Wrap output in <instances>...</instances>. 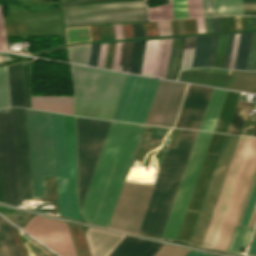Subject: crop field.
<instances>
[{
	"instance_id": "48",
	"label": "crop field",
	"mask_w": 256,
	"mask_h": 256,
	"mask_svg": "<svg viewBox=\"0 0 256 256\" xmlns=\"http://www.w3.org/2000/svg\"><path fill=\"white\" fill-rule=\"evenodd\" d=\"M203 16L217 15L216 0H201Z\"/></svg>"
},
{
	"instance_id": "11",
	"label": "crop field",
	"mask_w": 256,
	"mask_h": 256,
	"mask_svg": "<svg viewBox=\"0 0 256 256\" xmlns=\"http://www.w3.org/2000/svg\"><path fill=\"white\" fill-rule=\"evenodd\" d=\"M251 142V141H250ZM256 168V138L252 139L246 158L244 160L236 187L234 189L227 213L225 215L215 247L227 250L237 218L249 188L252 176Z\"/></svg>"
},
{
	"instance_id": "45",
	"label": "crop field",
	"mask_w": 256,
	"mask_h": 256,
	"mask_svg": "<svg viewBox=\"0 0 256 256\" xmlns=\"http://www.w3.org/2000/svg\"><path fill=\"white\" fill-rule=\"evenodd\" d=\"M246 70H256V33L252 35Z\"/></svg>"
},
{
	"instance_id": "8",
	"label": "crop field",
	"mask_w": 256,
	"mask_h": 256,
	"mask_svg": "<svg viewBox=\"0 0 256 256\" xmlns=\"http://www.w3.org/2000/svg\"><path fill=\"white\" fill-rule=\"evenodd\" d=\"M158 81L129 75L112 120L144 123Z\"/></svg>"
},
{
	"instance_id": "20",
	"label": "crop field",
	"mask_w": 256,
	"mask_h": 256,
	"mask_svg": "<svg viewBox=\"0 0 256 256\" xmlns=\"http://www.w3.org/2000/svg\"><path fill=\"white\" fill-rule=\"evenodd\" d=\"M163 246L156 242L126 236L109 256H154Z\"/></svg>"
},
{
	"instance_id": "62",
	"label": "crop field",
	"mask_w": 256,
	"mask_h": 256,
	"mask_svg": "<svg viewBox=\"0 0 256 256\" xmlns=\"http://www.w3.org/2000/svg\"><path fill=\"white\" fill-rule=\"evenodd\" d=\"M255 223H256V205H255V208H254V211L252 213V216H251V219H250V222H249L248 226L254 227Z\"/></svg>"
},
{
	"instance_id": "10",
	"label": "crop field",
	"mask_w": 256,
	"mask_h": 256,
	"mask_svg": "<svg viewBox=\"0 0 256 256\" xmlns=\"http://www.w3.org/2000/svg\"><path fill=\"white\" fill-rule=\"evenodd\" d=\"M152 188L124 183L109 227L137 233Z\"/></svg>"
},
{
	"instance_id": "28",
	"label": "crop field",
	"mask_w": 256,
	"mask_h": 256,
	"mask_svg": "<svg viewBox=\"0 0 256 256\" xmlns=\"http://www.w3.org/2000/svg\"><path fill=\"white\" fill-rule=\"evenodd\" d=\"M239 94L240 93H237V92H231V91L228 92V95L224 103L215 131L223 132V133L227 132L235 107L238 102Z\"/></svg>"
},
{
	"instance_id": "27",
	"label": "crop field",
	"mask_w": 256,
	"mask_h": 256,
	"mask_svg": "<svg viewBox=\"0 0 256 256\" xmlns=\"http://www.w3.org/2000/svg\"><path fill=\"white\" fill-rule=\"evenodd\" d=\"M40 15L43 35H63L59 9L43 10Z\"/></svg>"
},
{
	"instance_id": "56",
	"label": "crop field",
	"mask_w": 256,
	"mask_h": 256,
	"mask_svg": "<svg viewBox=\"0 0 256 256\" xmlns=\"http://www.w3.org/2000/svg\"><path fill=\"white\" fill-rule=\"evenodd\" d=\"M134 38L145 37L143 23L132 24Z\"/></svg>"
},
{
	"instance_id": "9",
	"label": "crop field",
	"mask_w": 256,
	"mask_h": 256,
	"mask_svg": "<svg viewBox=\"0 0 256 256\" xmlns=\"http://www.w3.org/2000/svg\"><path fill=\"white\" fill-rule=\"evenodd\" d=\"M239 136L227 135L199 213L191 244L202 245L227 169Z\"/></svg>"
},
{
	"instance_id": "63",
	"label": "crop field",
	"mask_w": 256,
	"mask_h": 256,
	"mask_svg": "<svg viewBox=\"0 0 256 256\" xmlns=\"http://www.w3.org/2000/svg\"><path fill=\"white\" fill-rule=\"evenodd\" d=\"M215 31H220L217 17L213 18Z\"/></svg>"
},
{
	"instance_id": "43",
	"label": "crop field",
	"mask_w": 256,
	"mask_h": 256,
	"mask_svg": "<svg viewBox=\"0 0 256 256\" xmlns=\"http://www.w3.org/2000/svg\"><path fill=\"white\" fill-rule=\"evenodd\" d=\"M169 4L150 8L151 20L172 19L171 0Z\"/></svg>"
},
{
	"instance_id": "37",
	"label": "crop field",
	"mask_w": 256,
	"mask_h": 256,
	"mask_svg": "<svg viewBox=\"0 0 256 256\" xmlns=\"http://www.w3.org/2000/svg\"><path fill=\"white\" fill-rule=\"evenodd\" d=\"M145 42L146 40L135 41L129 72L140 74Z\"/></svg>"
},
{
	"instance_id": "64",
	"label": "crop field",
	"mask_w": 256,
	"mask_h": 256,
	"mask_svg": "<svg viewBox=\"0 0 256 256\" xmlns=\"http://www.w3.org/2000/svg\"><path fill=\"white\" fill-rule=\"evenodd\" d=\"M47 1H49V0H42V4L45 3V2H47Z\"/></svg>"
},
{
	"instance_id": "26",
	"label": "crop field",
	"mask_w": 256,
	"mask_h": 256,
	"mask_svg": "<svg viewBox=\"0 0 256 256\" xmlns=\"http://www.w3.org/2000/svg\"><path fill=\"white\" fill-rule=\"evenodd\" d=\"M0 256H21L9 222L0 217Z\"/></svg>"
},
{
	"instance_id": "18",
	"label": "crop field",
	"mask_w": 256,
	"mask_h": 256,
	"mask_svg": "<svg viewBox=\"0 0 256 256\" xmlns=\"http://www.w3.org/2000/svg\"><path fill=\"white\" fill-rule=\"evenodd\" d=\"M213 88L190 85L175 127L198 130Z\"/></svg>"
},
{
	"instance_id": "35",
	"label": "crop field",
	"mask_w": 256,
	"mask_h": 256,
	"mask_svg": "<svg viewBox=\"0 0 256 256\" xmlns=\"http://www.w3.org/2000/svg\"><path fill=\"white\" fill-rule=\"evenodd\" d=\"M251 35L252 33L241 34L237 58H236V64L234 69L245 70Z\"/></svg>"
},
{
	"instance_id": "1",
	"label": "crop field",
	"mask_w": 256,
	"mask_h": 256,
	"mask_svg": "<svg viewBox=\"0 0 256 256\" xmlns=\"http://www.w3.org/2000/svg\"><path fill=\"white\" fill-rule=\"evenodd\" d=\"M143 126L111 122L81 210L84 220L109 226Z\"/></svg>"
},
{
	"instance_id": "58",
	"label": "crop field",
	"mask_w": 256,
	"mask_h": 256,
	"mask_svg": "<svg viewBox=\"0 0 256 256\" xmlns=\"http://www.w3.org/2000/svg\"><path fill=\"white\" fill-rule=\"evenodd\" d=\"M217 37H218V35H214V37H213V43H212V48H211V54H210V59H209L208 67H212V65H213L215 49H216V43H217Z\"/></svg>"
},
{
	"instance_id": "15",
	"label": "crop field",
	"mask_w": 256,
	"mask_h": 256,
	"mask_svg": "<svg viewBox=\"0 0 256 256\" xmlns=\"http://www.w3.org/2000/svg\"><path fill=\"white\" fill-rule=\"evenodd\" d=\"M186 86L160 80L145 123L173 127Z\"/></svg>"
},
{
	"instance_id": "47",
	"label": "crop field",
	"mask_w": 256,
	"mask_h": 256,
	"mask_svg": "<svg viewBox=\"0 0 256 256\" xmlns=\"http://www.w3.org/2000/svg\"><path fill=\"white\" fill-rule=\"evenodd\" d=\"M188 17L202 16L201 1L187 0Z\"/></svg>"
},
{
	"instance_id": "42",
	"label": "crop field",
	"mask_w": 256,
	"mask_h": 256,
	"mask_svg": "<svg viewBox=\"0 0 256 256\" xmlns=\"http://www.w3.org/2000/svg\"><path fill=\"white\" fill-rule=\"evenodd\" d=\"M68 43L85 42L91 40L89 27L84 28H66Z\"/></svg>"
},
{
	"instance_id": "33",
	"label": "crop field",
	"mask_w": 256,
	"mask_h": 256,
	"mask_svg": "<svg viewBox=\"0 0 256 256\" xmlns=\"http://www.w3.org/2000/svg\"><path fill=\"white\" fill-rule=\"evenodd\" d=\"M158 42L159 40H147L141 74L152 76Z\"/></svg>"
},
{
	"instance_id": "54",
	"label": "crop field",
	"mask_w": 256,
	"mask_h": 256,
	"mask_svg": "<svg viewBox=\"0 0 256 256\" xmlns=\"http://www.w3.org/2000/svg\"><path fill=\"white\" fill-rule=\"evenodd\" d=\"M239 36H240V34H235V36H234V42H233V48H232L230 66H229V68H231V69L234 68V64H235V58H236L237 47H238V42H239Z\"/></svg>"
},
{
	"instance_id": "40",
	"label": "crop field",
	"mask_w": 256,
	"mask_h": 256,
	"mask_svg": "<svg viewBox=\"0 0 256 256\" xmlns=\"http://www.w3.org/2000/svg\"><path fill=\"white\" fill-rule=\"evenodd\" d=\"M188 251H189L188 249H183V248L177 249V247L164 245L159 252L157 251L158 253L156 252L157 254L155 256H185ZM186 256H213V255L190 250Z\"/></svg>"
},
{
	"instance_id": "13",
	"label": "crop field",
	"mask_w": 256,
	"mask_h": 256,
	"mask_svg": "<svg viewBox=\"0 0 256 256\" xmlns=\"http://www.w3.org/2000/svg\"><path fill=\"white\" fill-rule=\"evenodd\" d=\"M225 136L226 135L223 134H213L185 219L183 221L177 239L179 241L187 243L189 242L191 232L193 230L197 215L199 213L203 198L205 196Z\"/></svg>"
},
{
	"instance_id": "22",
	"label": "crop field",
	"mask_w": 256,
	"mask_h": 256,
	"mask_svg": "<svg viewBox=\"0 0 256 256\" xmlns=\"http://www.w3.org/2000/svg\"><path fill=\"white\" fill-rule=\"evenodd\" d=\"M226 90L213 89L211 98L209 100L204 118L202 120L199 130L213 131L216 125L218 116L223 106L225 97L227 95Z\"/></svg>"
},
{
	"instance_id": "52",
	"label": "crop field",
	"mask_w": 256,
	"mask_h": 256,
	"mask_svg": "<svg viewBox=\"0 0 256 256\" xmlns=\"http://www.w3.org/2000/svg\"><path fill=\"white\" fill-rule=\"evenodd\" d=\"M159 36L172 35L170 21L157 22Z\"/></svg>"
},
{
	"instance_id": "51",
	"label": "crop field",
	"mask_w": 256,
	"mask_h": 256,
	"mask_svg": "<svg viewBox=\"0 0 256 256\" xmlns=\"http://www.w3.org/2000/svg\"><path fill=\"white\" fill-rule=\"evenodd\" d=\"M255 181H256V171H255V174H254V176H253V179H252L250 188H249V190H248V193H247L245 202H244V204H243V207H242L240 216H239L238 221H237V224H236V225H238V226H240V224H241V221H242L243 215H244V213H245V210H246V207H247V204H248L250 195H251V193H252V190H253Z\"/></svg>"
},
{
	"instance_id": "34",
	"label": "crop field",
	"mask_w": 256,
	"mask_h": 256,
	"mask_svg": "<svg viewBox=\"0 0 256 256\" xmlns=\"http://www.w3.org/2000/svg\"><path fill=\"white\" fill-rule=\"evenodd\" d=\"M250 103L238 102L227 133L239 135Z\"/></svg>"
},
{
	"instance_id": "55",
	"label": "crop field",
	"mask_w": 256,
	"mask_h": 256,
	"mask_svg": "<svg viewBox=\"0 0 256 256\" xmlns=\"http://www.w3.org/2000/svg\"><path fill=\"white\" fill-rule=\"evenodd\" d=\"M107 46H108V43L101 44V46H100V52H99V58H98V64H97V66H99V67L104 68Z\"/></svg>"
},
{
	"instance_id": "3",
	"label": "crop field",
	"mask_w": 256,
	"mask_h": 256,
	"mask_svg": "<svg viewBox=\"0 0 256 256\" xmlns=\"http://www.w3.org/2000/svg\"><path fill=\"white\" fill-rule=\"evenodd\" d=\"M197 131L182 129L176 147L169 146L139 232L161 237Z\"/></svg>"
},
{
	"instance_id": "31",
	"label": "crop field",
	"mask_w": 256,
	"mask_h": 256,
	"mask_svg": "<svg viewBox=\"0 0 256 256\" xmlns=\"http://www.w3.org/2000/svg\"><path fill=\"white\" fill-rule=\"evenodd\" d=\"M184 38H173L166 78L174 80L179 69Z\"/></svg>"
},
{
	"instance_id": "25",
	"label": "crop field",
	"mask_w": 256,
	"mask_h": 256,
	"mask_svg": "<svg viewBox=\"0 0 256 256\" xmlns=\"http://www.w3.org/2000/svg\"><path fill=\"white\" fill-rule=\"evenodd\" d=\"M12 106H25L21 63L8 67Z\"/></svg>"
},
{
	"instance_id": "38",
	"label": "crop field",
	"mask_w": 256,
	"mask_h": 256,
	"mask_svg": "<svg viewBox=\"0 0 256 256\" xmlns=\"http://www.w3.org/2000/svg\"><path fill=\"white\" fill-rule=\"evenodd\" d=\"M90 47L91 45L68 47L69 61L87 65Z\"/></svg>"
},
{
	"instance_id": "30",
	"label": "crop field",
	"mask_w": 256,
	"mask_h": 256,
	"mask_svg": "<svg viewBox=\"0 0 256 256\" xmlns=\"http://www.w3.org/2000/svg\"><path fill=\"white\" fill-rule=\"evenodd\" d=\"M171 41L172 39L160 40L153 76L165 78Z\"/></svg>"
},
{
	"instance_id": "57",
	"label": "crop field",
	"mask_w": 256,
	"mask_h": 256,
	"mask_svg": "<svg viewBox=\"0 0 256 256\" xmlns=\"http://www.w3.org/2000/svg\"><path fill=\"white\" fill-rule=\"evenodd\" d=\"M233 36H234V34H230V36H229V41H228V46H227V51H226V56H225V61H224L223 68H228V66H229V60H230Z\"/></svg>"
},
{
	"instance_id": "41",
	"label": "crop field",
	"mask_w": 256,
	"mask_h": 256,
	"mask_svg": "<svg viewBox=\"0 0 256 256\" xmlns=\"http://www.w3.org/2000/svg\"><path fill=\"white\" fill-rule=\"evenodd\" d=\"M196 39L197 37L186 38L180 70L191 68Z\"/></svg>"
},
{
	"instance_id": "32",
	"label": "crop field",
	"mask_w": 256,
	"mask_h": 256,
	"mask_svg": "<svg viewBox=\"0 0 256 256\" xmlns=\"http://www.w3.org/2000/svg\"><path fill=\"white\" fill-rule=\"evenodd\" d=\"M244 15H256V0H243ZM242 0H226L227 15H243Z\"/></svg>"
},
{
	"instance_id": "4",
	"label": "crop field",
	"mask_w": 256,
	"mask_h": 256,
	"mask_svg": "<svg viewBox=\"0 0 256 256\" xmlns=\"http://www.w3.org/2000/svg\"><path fill=\"white\" fill-rule=\"evenodd\" d=\"M75 115L112 119L128 75L72 66Z\"/></svg>"
},
{
	"instance_id": "49",
	"label": "crop field",
	"mask_w": 256,
	"mask_h": 256,
	"mask_svg": "<svg viewBox=\"0 0 256 256\" xmlns=\"http://www.w3.org/2000/svg\"><path fill=\"white\" fill-rule=\"evenodd\" d=\"M6 31L2 5L0 6V51H6Z\"/></svg>"
},
{
	"instance_id": "60",
	"label": "crop field",
	"mask_w": 256,
	"mask_h": 256,
	"mask_svg": "<svg viewBox=\"0 0 256 256\" xmlns=\"http://www.w3.org/2000/svg\"><path fill=\"white\" fill-rule=\"evenodd\" d=\"M248 255L256 256V233L254 235L253 241H252L250 249L248 251Z\"/></svg>"
},
{
	"instance_id": "14",
	"label": "crop field",
	"mask_w": 256,
	"mask_h": 256,
	"mask_svg": "<svg viewBox=\"0 0 256 256\" xmlns=\"http://www.w3.org/2000/svg\"><path fill=\"white\" fill-rule=\"evenodd\" d=\"M252 138L240 136L221 193L219 195L209 228L202 246L214 247L243 160Z\"/></svg>"
},
{
	"instance_id": "21",
	"label": "crop field",
	"mask_w": 256,
	"mask_h": 256,
	"mask_svg": "<svg viewBox=\"0 0 256 256\" xmlns=\"http://www.w3.org/2000/svg\"><path fill=\"white\" fill-rule=\"evenodd\" d=\"M74 219H80L76 198V152L73 117L65 115Z\"/></svg>"
},
{
	"instance_id": "23",
	"label": "crop field",
	"mask_w": 256,
	"mask_h": 256,
	"mask_svg": "<svg viewBox=\"0 0 256 256\" xmlns=\"http://www.w3.org/2000/svg\"><path fill=\"white\" fill-rule=\"evenodd\" d=\"M32 108L73 115L72 97H31Z\"/></svg>"
},
{
	"instance_id": "36",
	"label": "crop field",
	"mask_w": 256,
	"mask_h": 256,
	"mask_svg": "<svg viewBox=\"0 0 256 256\" xmlns=\"http://www.w3.org/2000/svg\"><path fill=\"white\" fill-rule=\"evenodd\" d=\"M24 12L28 36L42 35L39 11L24 9Z\"/></svg>"
},
{
	"instance_id": "29",
	"label": "crop field",
	"mask_w": 256,
	"mask_h": 256,
	"mask_svg": "<svg viewBox=\"0 0 256 256\" xmlns=\"http://www.w3.org/2000/svg\"><path fill=\"white\" fill-rule=\"evenodd\" d=\"M212 37L213 35L198 37L194 51L192 68L208 65Z\"/></svg>"
},
{
	"instance_id": "17",
	"label": "crop field",
	"mask_w": 256,
	"mask_h": 256,
	"mask_svg": "<svg viewBox=\"0 0 256 256\" xmlns=\"http://www.w3.org/2000/svg\"><path fill=\"white\" fill-rule=\"evenodd\" d=\"M13 125L20 201L33 198L25 109L14 107Z\"/></svg>"
},
{
	"instance_id": "7",
	"label": "crop field",
	"mask_w": 256,
	"mask_h": 256,
	"mask_svg": "<svg viewBox=\"0 0 256 256\" xmlns=\"http://www.w3.org/2000/svg\"><path fill=\"white\" fill-rule=\"evenodd\" d=\"M213 133L199 131L163 239L176 240Z\"/></svg>"
},
{
	"instance_id": "61",
	"label": "crop field",
	"mask_w": 256,
	"mask_h": 256,
	"mask_svg": "<svg viewBox=\"0 0 256 256\" xmlns=\"http://www.w3.org/2000/svg\"><path fill=\"white\" fill-rule=\"evenodd\" d=\"M198 33L205 32L203 18L196 19Z\"/></svg>"
},
{
	"instance_id": "59",
	"label": "crop field",
	"mask_w": 256,
	"mask_h": 256,
	"mask_svg": "<svg viewBox=\"0 0 256 256\" xmlns=\"http://www.w3.org/2000/svg\"><path fill=\"white\" fill-rule=\"evenodd\" d=\"M217 9L218 15H226L224 0H217Z\"/></svg>"
},
{
	"instance_id": "12",
	"label": "crop field",
	"mask_w": 256,
	"mask_h": 256,
	"mask_svg": "<svg viewBox=\"0 0 256 256\" xmlns=\"http://www.w3.org/2000/svg\"><path fill=\"white\" fill-rule=\"evenodd\" d=\"M0 110V167L4 203L19 202L11 108Z\"/></svg>"
},
{
	"instance_id": "46",
	"label": "crop field",
	"mask_w": 256,
	"mask_h": 256,
	"mask_svg": "<svg viewBox=\"0 0 256 256\" xmlns=\"http://www.w3.org/2000/svg\"><path fill=\"white\" fill-rule=\"evenodd\" d=\"M174 19L187 18L186 0H172Z\"/></svg>"
},
{
	"instance_id": "16",
	"label": "crop field",
	"mask_w": 256,
	"mask_h": 256,
	"mask_svg": "<svg viewBox=\"0 0 256 256\" xmlns=\"http://www.w3.org/2000/svg\"><path fill=\"white\" fill-rule=\"evenodd\" d=\"M23 230L61 256H76L65 222L34 215Z\"/></svg>"
},
{
	"instance_id": "24",
	"label": "crop field",
	"mask_w": 256,
	"mask_h": 256,
	"mask_svg": "<svg viewBox=\"0 0 256 256\" xmlns=\"http://www.w3.org/2000/svg\"><path fill=\"white\" fill-rule=\"evenodd\" d=\"M229 77L227 75L184 70L181 71L179 80L225 88Z\"/></svg>"
},
{
	"instance_id": "39",
	"label": "crop field",
	"mask_w": 256,
	"mask_h": 256,
	"mask_svg": "<svg viewBox=\"0 0 256 256\" xmlns=\"http://www.w3.org/2000/svg\"><path fill=\"white\" fill-rule=\"evenodd\" d=\"M11 106L8 87L7 66L0 68V108Z\"/></svg>"
},
{
	"instance_id": "65",
	"label": "crop field",
	"mask_w": 256,
	"mask_h": 256,
	"mask_svg": "<svg viewBox=\"0 0 256 256\" xmlns=\"http://www.w3.org/2000/svg\"><path fill=\"white\" fill-rule=\"evenodd\" d=\"M253 136H256V129H255V132H254V135Z\"/></svg>"
},
{
	"instance_id": "50",
	"label": "crop field",
	"mask_w": 256,
	"mask_h": 256,
	"mask_svg": "<svg viewBox=\"0 0 256 256\" xmlns=\"http://www.w3.org/2000/svg\"><path fill=\"white\" fill-rule=\"evenodd\" d=\"M255 201H256V184H255L253 193L251 195V198H250V201H249V204H248V207H247V210H246V213L244 215V218H243V221H242L241 225H244V226L248 225V222H249V219H250Z\"/></svg>"
},
{
	"instance_id": "44",
	"label": "crop field",
	"mask_w": 256,
	"mask_h": 256,
	"mask_svg": "<svg viewBox=\"0 0 256 256\" xmlns=\"http://www.w3.org/2000/svg\"><path fill=\"white\" fill-rule=\"evenodd\" d=\"M134 41L125 42L120 70L128 72Z\"/></svg>"
},
{
	"instance_id": "19",
	"label": "crop field",
	"mask_w": 256,
	"mask_h": 256,
	"mask_svg": "<svg viewBox=\"0 0 256 256\" xmlns=\"http://www.w3.org/2000/svg\"><path fill=\"white\" fill-rule=\"evenodd\" d=\"M86 237L92 256H108L125 236L90 228Z\"/></svg>"
},
{
	"instance_id": "53",
	"label": "crop field",
	"mask_w": 256,
	"mask_h": 256,
	"mask_svg": "<svg viewBox=\"0 0 256 256\" xmlns=\"http://www.w3.org/2000/svg\"><path fill=\"white\" fill-rule=\"evenodd\" d=\"M100 44H92L88 65L96 66Z\"/></svg>"
},
{
	"instance_id": "2",
	"label": "crop field",
	"mask_w": 256,
	"mask_h": 256,
	"mask_svg": "<svg viewBox=\"0 0 256 256\" xmlns=\"http://www.w3.org/2000/svg\"><path fill=\"white\" fill-rule=\"evenodd\" d=\"M34 198L46 197L45 177H56L60 216L73 219L64 115L26 109Z\"/></svg>"
},
{
	"instance_id": "5",
	"label": "crop field",
	"mask_w": 256,
	"mask_h": 256,
	"mask_svg": "<svg viewBox=\"0 0 256 256\" xmlns=\"http://www.w3.org/2000/svg\"><path fill=\"white\" fill-rule=\"evenodd\" d=\"M78 152V199L82 207L111 121L75 117Z\"/></svg>"
},
{
	"instance_id": "6",
	"label": "crop field",
	"mask_w": 256,
	"mask_h": 256,
	"mask_svg": "<svg viewBox=\"0 0 256 256\" xmlns=\"http://www.w3.org/2000/svg\"><path fill=\"white\" fill-rule=\"evenodd\" d=\"M67 26L148 19L145 0L64 6Z\"/></svg>"
}]
</instances>
